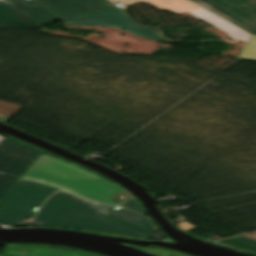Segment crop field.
I'll use <instances>...</instances> for the list:
<instances>
[{
	"mask_svg": "<svg viewBox=\"0 0 256 256\" xmlns=\"http://www.w3.org/2000/svg\"><path fill=\"white\" fill-rule=\"evenodd\" d=\"M40 25L5 0H0L1 26H33Z\"/></svg>",
	"mask_w": 256,
	"mask_h": 256,
	"instance_id": "6",
	"label": "crop field"
},
{
	"mask_svg": "<svg viewBox=\"0 0 256 256\" xmlns=\"http://www.w3.org/2000/svg\"><path fill=\"white\" fill-rule=\"evenodd\" d=\"M40 153L9 138L0 142V198Z\"/></svg>",
	"mask_w": 256,
	"mask_h": 256,
	"instance_id": "4",
	"label": "crop field"
},
{
	"mask_svg": "<svg viewBox=\"0 0 256 256\" xmlns=\"http://www.w3.org/2000/svg\"><path fill=\"white\" fill-rule=\"evenodd\" d=\"M214 243L256 253V240L242 237V236H238V237H234V238H230V239H226V240H222Z\"/></svg>",
	"mask_w": 256,
	"mask_h": 256,
	"instance_id": "8",
	"label": "crop field"
},
{
	"mask_svg": "<svg viewBox=\"0 0 256 256\" xmlns=\"http://www.w3.org/2000/svg\"><path fill=\"white\" fill-rule=\"evenodd\" d=\"M96 203L65 192L52 195L33 222L43 226H61L95 230L150 239L158 230L150 219L123 207Z\"/></svg>",
	"mask_w": 256,
	"mask_h": 256,
	"instance_id": "3",
	"label": "crop field"
},
{
	"mask_svg": "<svg viewBox=\"0 0 256 256\" xmlns=\"http://www.w3.org/2000/svg\"><path fill=\"white\" fill-rule=\"evenodd\" d=\"M152 33H153V32H152ZM154 34H156V33H154ZM156 36H157V39H164V38H162L161 35H159V34H156ZM157 39H156V40H157Z\"/></svg>",
	"mask_w": 256,
	"mask_h": 256,
	"instance_id": "13",
	"label": "crop field"
},
{
	"mask_svg": "<svg viewBox=\"0 0 256 256\" xmlns=\"http://www.w3.org/2000/svg\"><path fill=\"white\" fill-rule=\"evenodd\" d=\"M3 139V137L0 136V141Z\"/></svg>",
	"mask_w": 256,
	"mask_h": 256,
	"instance_id": "15",
	"label": "crop field"
},
{
	"mask_svg": "<svg viewBox=\"0 0 256 256\" xmlns=\"http://www.w3.org/2000/svg\"><path fill=\"white\" fill-rule=\"evenodd\" d=\"M0 120L5 122V123H7L10 120V118L4 117V116H0Z\"/></svg>",
	"mask_w": 256,
	"mask_h": 256,
	"instance_id": "12",
	"label": "crop field"
},
{
	"mask_svg": "<svg viewBox=\"0 0 256 256\" xmlns=\"http://www.w3.org/2000/svg\"><path fill=\"white\" fill-rule=\"evenodd\" d=\"M123 206H125L131 210H134L140 214L143 213V209L141 208V206L137 203V201L134 198L131 199L130 201H128L127 203H125Z\"/></svg>",
	"mask_w": 256,
	"mask_h": 256,
	"instance_id": "11",
	"label": "crop field"
},
{
	"mask_svg": "<svg viewBox=\"0 0 256 256\" xmlns=\"http://www.w3.org/2000/svg\"><path fill=\"white\" fill-rule=\"evenodd\" d=\"M62 21L87 26L122 28L125 31L146 39H155V35L135 27L123 6L147 1L159 8L174 11H188L198 18L226 32L233 40H249L252 35L201 9L187 0H34ZM142 27V26H139ZM144 28V27H142ZM147 29V28H145ZM149 30V29H148ZM152 31V30H150ZM154 32V31H153ZM157 33V32H156Z\"/></svg>",
	"mask_w": 256,
	"mask_h": 256,
	"instance_id": "2",
	"label": "crop field"
},
{
	"mask_svg": "<svg viewBox=\"0 0 256 256\" xmlns=\"http://www.w3.org/2000/svg\"><path fill=\"white\" fill-rule=\"evenodd\" d=\"M242 30L256 34V0H189Z\"/></svg>",
	"mask_w": 256,
	"mask_h": 256,
	"instance_id": "5",
	"label": "crop field"
},
{
	"mask_svg": "<svg viewBox=\"0 0 256 256\" xmlns=\"http://www.w3.org/2000/svg\"><path fill=\"white\" fill-rule=\"evenodd\" d=\"M19 108H20L19 106L0 102V114L1 115L12 117Z\"/></svg>",
	"mask_w": 256,
	"mask_h": 256,
	"instance_id": "10",
	"label": "crop field"
},
{
	"mask_svg": "<svg viewBox=\"0 0 256 256\" xmlns=\"http://www.w3.org/2000/svg\"><path fill=\"white\" fill-rule=\"evenodd\" d=\"M250 40H251V41H256V35L253 36Z\"/></svg>",
	"mask_w": 256,
	"mask_h": 256,
	"instance_id": "14",
	"label": "crop field"
},
{
	"mask_svg": "<svg viewBox=\"0 0 256 256\" xmlns=\"http://www.w3.org/2000/svg\"><path fill=\"white\" fill-rule=\"evenodd\" d=\"M13 4L15 7L20 9L22 12L36 20L42 25L48 24L50 22L58 21L56 17L47 12L45 9L40 7L34 1L30 0H6Z\"/></svg>",
	"mask_w": 256,
	"mask_h": 256,
	"instance_id": "7",
	"label": "crop field"
},
{
	"mask_svg": "<svg viewBox=\"0 0 256 256\" xmlns=\"http://www.w3.org/2000/svg\"><path fill=\"white\" fill-rule=\"evenodd\" d=\"M57 190L116 205L110 198L120 189L82 168L42 154L0 199V223L18 226L22 219L34 217V206Z\"/></svg>",
	"mask_w": 256,
	"mask_h": 256,
	"instance_id": "1",
	"label": "crop field"
},
{
	"mask_svg": "<svg viewBox=\"0 0 256 256\" xmlns=\"http://www.w3.org/2000/svg\"><path fill=\"white\" fill-rule=\"evenodd\" d=\"M240 57L242 59L256 60V43L247 42Z\"/></svg>",
	"mask_w": 256,
	"mask_h": 256,
	"instance_id": "9",
	"label": "crop field"
}]
</instances>
